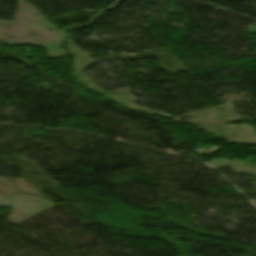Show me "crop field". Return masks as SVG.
<instances>
[{
	"instance_id": "obj_1",
	"label": "crop field",
	"mask_w": 256,
	"mask_h": 256,
	"mask_svg": "<svg viewBox=\"0 0 256 256\" xmlns=\"http://www.w3.org/2000/svg\"><path fill=\"white\" fill-rule=\"evenodd\" d=\"M250 32H256V27H250Z\"/></svg>"
}]
</instances>
